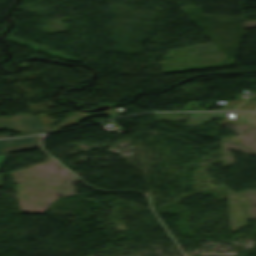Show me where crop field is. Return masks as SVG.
I'll use <instances>...</instances> for the list:
<instances>
[{"label":"crop field","instance_id":"8a807250","mask_svg":"<svg viewBox=\"0 0 256 256\" xmlns=\"http://www.w3.org/2000/svg\"><path fill=\"white\" fill-rule=\"evenodd\" d=\"M0 128H6L8 131H29L41 129L43 126L33 117L32 114L17 115L12 118H0Z\"/></svg>","mask_w":256,"mask_h":256},{"label":"crop field","instance_id":"ac0d7876","mask_svg":"<svg viewBox=\"0 0 256 256\" xmlns=\"http://www.w3.org/2000/svg\"><path fill=\"white\" fill-rule=\"evenodd\" d=\"M39 136L23 138V139H11L0 141V168L10 151L34 148L39 143Z\"/></svg>","mask_w":256,"mask_h":256},{"label":"crop field","instance_id":"34b2d1b8","mask_svg":"<svg viewBox=\"0 0 256 256\" xmlns=\"http://www.w3.org/2000/svg\"><path fill=\"white\" fill-rule=\"evenodd\" d=\"M227 112H204L191 113L185 126L202 125L203 121H210L211 118H224Z\"/></svg>","mask_w":256,"mask_h":256},{"label":"crop field","instance_id":"412701ff","mask_svg":"<svg viewBox=\"0 0 256 256\" xmlns=\"http://www.w3.org/2000/svg\"><path fill=\"white\" fill-rule=\"evenodd\" d=\"M229 117L256 126V112H231Z\"/></svg>","mask_w":256,"mask_h":256},{"label":"crop field","instance_id":"f4fd0767","mask_svg":"<svg viewBox=\"0 0 256 256\" xmlns=\"http://www.w3.org/2000/svg\"><path fill=\"white\" fill-rule=\"evenodd\" d=\"M103 113H105L108 116V118L119 116L118 112L114 108L105 110V111H103Z\"/></svg>","mask_w":256,"mask_h":256},{"label":"crop field","instance_id":"dd49c442","mask_svg":"<svg viewBox=\"0 0 256 256\" xmlns=\"http://www.w3.org/2000/svg\"><path fill=\"white\" fill-rule=\"evenodd\" d=\"M42 132H46V131H45V130H41V131H34V132H29V133L21 134L20 136H24V135H31V134L42 133Z\"/></svg>","mask_w":256,"mask_h":256},{"label":"crop field","instance_id":"e52e79f7","mask_svg":"<svg viewBox=\"0 0 256 256\" xmlns=\"http://www.w3.org/2000/svg\"><path fill=\"white\" fill-rule=\"evenodd\" d=\"M2 185L1 175H0V186Z\"/></svg>","mask_w":256,"mask_h":256},{"label":"crop field","instance_id":"d8731c3e","mask_svg":"<svg viewBox=\"0 0 256 256\" xmlns=\"http://www.w3.org/2000/svg\"><path fill=\"white\" fill-rule=\"evenodd\" d=\"M0 137H10V135H4V136H0Z\"/></svg>","mask_w":256,"mask_h":256}]
</instances>
